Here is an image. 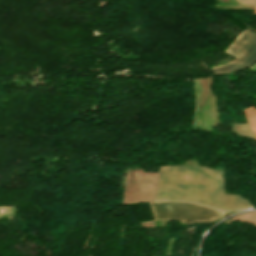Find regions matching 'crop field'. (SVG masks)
I'll list each match as a JSON object with an SVG mask.
<instances>
[{
    "instance_id": "8a807250",
    "label": "crop field",
    "mask_w": 256,
    "mask_h": 256,
    "mask_svg": "<svg viewBox=\"0 0 256 256\" xmlns=\"http://www.w3.org/2000/svg\"><path fill=\"white\" fill-rule=\"evenodd\" d=\"M195 202L223 210L250 208L240 196L223 194V172L205 167H161L156 199Z\"/></svg>"
},
{
    "instance_id": "ac0d7876",
    "label": "crop field",
    "mask_w": 256,
    "mask_h": 256,
    "mask_svg": "<svg viewBox=\"0 0 256 256\" xmlns=\"http://www.w3.org/2000/svg\"><path fill=\"white\" fill-rule=\"evenodd\" d=\"M149 204L154 219H178L185 223L212 222L224 215L221 211L191 203L161 202Z\"/></svg>"
},
{
    "instance_id": "34b2d1b8",
    "label": "crop field",
    "mask_w": 256,
    "mask_h": 256,
    "mask_svg": "<svg viewBox=\"0 0 256 256\" xmlns=\"http://www.w3.org/2000/svg\"><path fill=\"white\" fill-rule=\"evenodd\" d=\"M225 52L235 56L223 65L210 67L215 75L234 73L256 63V32L245 29L227 47Z\"/></svg>"
},
{
    "instance_id": "412701ff",
    "label": "crop field",
    "mask_w": 256,
    "mask_h": 256,
    "mask_svg": "<svg viewBox=\"0 0 256 256\" xmlns=\"http://www.w3.org/2000/svg\"><path fill=\"white\" fill-rule=\"evenodd\" d=\"M159 173H143L138 169L127 172L123 202L154 201Z\"/></svg>"
},
{
    "instance_id": "f4fd0767",
    "label": "crop field",
    "mask_w": 256,
    "mask_h": 256,
    "mask_svg": "<svg viewBox=\"0 0 256 256\" xmlns=\"http://www.w3.org/2000/svg\"><path fill=\"white\" fill-rule=\"evenodd\" d=\"M248 118L249 125L256 137V109L255 107H249L245 109Z\"/></svg>"
},
{
    "instance_id": "dd49c442",
    "label": "crop field",
    "mask_w": 256,
    "mask_h": 256,
    "mask_svg": "<svg viewBox=\"0 0 256 256\" xmlns=\"http://www.w3.org/2000/svg\"><path fill=\"white\" fill-rule=\"evenodd\" d=\"M233 126H234L235 132H237L238 134L255 139L248 124H233Z\"/></svg>"
},
{
    "instance_id": "e52e79f7",
    "label": "crop field",
    "mask_w": 256,
    "mask_h": 256,
    "mask_svg": "<svg viewBox=\"0 0 256 256\" xmlns=\"http://www.w3.org/2000/svg\"><path fill=\"white\" fill-rule=\"evenodd\" d=\"M231 219L232 220H244V221L256 223V211L240 214Z\"/></svg>"
},
{
    "instance_id": "d8731c3e",
    "label": "crop field",
    "mask_w": 256,
    "mask_h": 256,
    "mask_svg": "<svg viewBox=\"0 0 256 256\" xmlns=\"http://www.w3.org/2000/svg\"><path fill=\"white\" fill-rule=\"evenodd\" d=\"M244 5H256V0H239Z\"/></svg>"
},
{
    "instance_id": "5a996713",
    "label": "crop field",
    "mask_w": 256,
    "mask_h": 256,
    "mask_svg": "<svg viewBox=\"0 0 256 256\" xmlns=\"http://www.w3.org/2000/svg\"><path fill=\"white\" fill-rule=\"evenodd\" d=\"M255 13H256V8H255Z\"/></svg>"
}]
</instances>
